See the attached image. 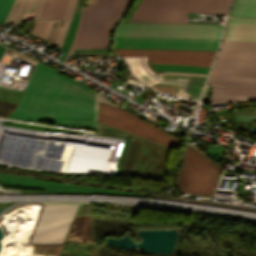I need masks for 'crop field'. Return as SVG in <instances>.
<instances>
[{"label":"crop field","instance_id":"obj_5","mask_svg":"<svg viewBox=\"0 0 256 256\" xmlns=\"http://www.w3.org/2000/svg\"><path fill=\"white\" fill-rule=\"evenodd\" d=\"M221 168L190 145H186L177 180L180 189L213 195Z\"/></svg>","mask_w":256,"mask_h":256},{"label":"crop field","instance_id":"obj_16","mask_svg":"<svg viewBox=\"0 0 256 256\" xmlns=\"http://www.w3.org/2000/svg\"><path fill=\"white\" fill-rule=\"evenodd\" d=\"M231 15L256 16V0H236Z\"/></svg>","mask_w":256,"mask_h":256},{"label":"crop field","instance_id":"obj_2","mask_svg":"<svg viewBox=\"0 0 256 256\" xmlns=\"http://www.w3.org/2000/svg\"><path fill=\"white\" fill-rule=\"evenodd\" d=\"M224 43L256 45V20L230 18ZM223 44L209 84L256 85V46Z\"/></svg>","mask_w":256,"mask_h":256},{"label":"crop field","instance_id":"obj_17","mask_svg":"<svg viewBox=\"0 0 256 256\" xmlns=\"http://www.w3.org/2000/svg\"><path fill=\"white\" fill-rule=\"evenodd\" d=\"M79 14L80 13H77V12H74V14H73L70 30H69V32H68V34L65 38V41L63 43V46H62V49H64V51H63V53L60 57L61 61L64 60L72 42H73L74 35H75V32H76V28H77L78 19H79Z\"/></svg>","mask_w":256,"mask_h":256},{"label":"crop field","instance_id":"obj_12","mask_svg":"<svg viewBox=\"0 0 256 256\" xmlns=\"http://www.w3.org/2000/svg\"><path fill=\"white\" fill-rule=\"evenodd\" d=\"M44 0H16L5 23L37 19Z\"/></svg>","mask_w":256,"mask_h":256},{"label":"crop field","instance_id":"obj_3","mask_svg":"<svg viewBox=\"0 0 256 256\" xmlns=\"http://www.w3.org/2000/svg\"><path fill=\"white\" fill-rule=\"evenodd\" d=\"M130 0H88L75 52H107L108 31Z\"/></svg>","mask_w":256,"mask_h":256},{"label":"crop field","instance_id":"obj_6","mask_svg":"<svg viewBox=\"0 0 256 256\" xmlns=\"http://www.w3.org/2000/svg\"><path fill=\"white\" fill-rule=\"evenodd\" d=\"M98 121L168 147L179 149L182 144L177 138L136 117L132 113L100 102L98 106Z\"/></svg>","mask_w":256,"mask_h":256},{"label":"crop field","instance_id":"obj_23","mask_svg":"<svg viewBox=\"0 0 256 256\" xmlns=\"http://www.w3.org/2000/svg\"><path fill=\"white\" fill-rule=\"evenodd\" d=\"M3 2H4V0H0V9H1Z\"/></svg>","mask_w":256,"mask_h":256},{"label":"crop field","instance_id":"obj_22","mask_svg":"<svg viewBox=\"0 0 256 256\" xmlns=\"http://www.w3.org/2000/svg\"><path fill=\"white\" fill-rule=\"evenodd\" d=\"M165 74H175V75H196V76H206L207 74H197V73H175V72H165Z\"/></svg>","mask_w":256,"mask_h":256},{"label":"crop field","instance_id":"obj_1","mask_svg":"<svg viewBox=\"0 0 256 256\" xmlns=\"http://www.w3.org/2000/svg\"><path fill=\"white\" fill-rule=\"evenodd\" d=\"M26 93L12 119L97 121L98 101L118 106L69 77L37 61Z\"/></svg>","mask_w":256,"mask_h":256},{"label":"crop field","instance_id":"obj_4","mask_svg":"<svg viewBox=\"0 0 256 256\" xmlns=\"http://www.w3.org/2000/svg\"><path fill=\"white\" fill-rule=\"evenodd\" d=\"M231 0H141L130 20L187 22V12L226 14Z\"/></svg>","mask_w":256,"mask_h":256},{"label":"crop field","instance_id":"obj_8","mask_svg":"<svg viewBox=\"0 0 256 256\" xmlns=\"http://www.w3.org/2000/svg\"><path fill=\"white\" fill-rule=\"evenodd\" d=\"M223 26L121 23L115 36L220 38Z\"/></svg>","mask_w":256,"mask_h":256},{"label":"crop field","instance_id":"obj_15","mask_svg":"<svg viewBox=\"0 0 256 256\" xmlns=\"http://www.w3.org/2000/svg\"><path fill=\"white\" fill-rule=\"evenodd\" d=\"M155 71L207 73L209 68L175 64H152Z\"/></svg>","mask_w":256,"mask_h":256},{"label":"crop field","instance_id":"obj_10","mask_svg":"<svg viewBox=\"0 0 256 256\" xmlns=\"http://www.w3.org/2000/svg\"><path fill=\"white\" fill-rule=\"evenodd\" d=\"M120 56H148L149 63L210 67L216 51L114 49Z\"/></svg>","mask_w":256,"mask_h":256},{"label":"crop field","instance_id":"obj_21","mask_svg":"<svg viewBox=\"0 0 256 256\" xmlns=\"http://www.w3.org/2000/svg\"><path fill=\"white\" fill-rule=\"evenodd\" d=\"M46 24H47V21H37L32 32L41 35Z\"/></svg>","mask_w":256,"mask_h":256},{"label":"crop field","instance_id":"obj_11","mask_svg":"<svg viewBox=\"0 0 256 256\" xmlns=\"http://www.w3.org/2000/svg\"><path fill=\"white\" fill-rule=\"evenodd\" d=\"M250 100H256V87H216L213 102H240Z\"/></svg>","mask_w":256,"mask_h":256},{"label":"crop field","instance_id":"obj_9","mask_svg":"<svg viewBox=\"0 0 256 256\" xmlns=\"http://www.w3.org/2000/svg\"><path fill=\"white\" fill-rule=\"evenodd\" d=\"M219 40L115 37L114 48L216 50Z\"/></svg>","mask_w":256,"mask_h":256},{"label":"crop field","instance_id":"obj_13","mask_svg":"<svg viewBox=\"0 0 256 256\" xmlns=\"http://www.w3.org/2000/svg\"><path fill=\"white\" fill-rule=\"evenodd\" d=\"M67 0H45L38 19H62Z\"/></svg>","mask_w":256,"mask_h":256},{"label":"crop field","instance_id":"obj_7","mask_svg":"<svg viewBox=\"0 0 256 256\" xmlns=\"http://www.w3.org/2000/svg\"><path fill=\"white\" fill-rule=\"evenodd\" d=\"M79 204L40 203L30 237L61 242Z\"/></svg>","mask_w":256,"mask_h":256},{"label":"crop field","instance_id":"obj_18","mask_svg":"<svg viewBox=\"0 0 256 256\" xmlns=\"http://www.w3.org/2000/svg\"><path fill=\"white\" fill-rule=\"evenodd\" d=\"M45 123L76 126L80 128H96L97 122H84V121H43Z\"/></svg>","mask_w":256,"mask_h":256},{"label":"crop field","instance_id":"obj_20","mask_svg":"<svg viewBox=\"0 0 256 256\" xmlns=\"http://www.w3.org/2000/svg\"><path fill=\"white\" fill-rule=\"evenodd\" d=\"M84 1H83V5H84ZM83 5H82V9H81V15H80L79 24H78L77 32H76V35H75V39H74V42H73V44H72V46H71V48H70V50H69V52H68V54L65 58V61H66V59L68 58L69 55H72V53L74 51V48L76 46L77 40H78V36H79V33H80V28H81L83 10H84ZM65 61H64V63H65Z\"/></svg>","mask_w":256,"mask_h":256},{"label":"crop field","instance_id":"obj_14","mask_svg":"<svg viewBox=\"0 0 256 256\" xmlns=\"http://www.w3.org/2000/svg\"><path fill=\"white\" fill-rule=\"evenodd\" d=\"M75 2H76V0H68L67 6L65 9V13H64V17H63V23L53 41V44L58 45L57 48H59V49L64 41V38H65L68 30H69L71 17H72L74 7H75Z\"/></svg>","mask_w":256,"mask_h":256},{"label":"crop field","instance_id":"obj_19","mask_svg":"<svg viewBox=\"0 0 256 256\" xmlns=\"http://www.w3.org/2000/svg\"><path fill=\"white\" fill-rule=\"evenodd\" d=\"M14 0H6L1 11H0V23H4Z\"/></svg>","mask_w":256,"mask_h":256}]
</instances>
